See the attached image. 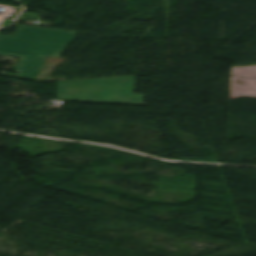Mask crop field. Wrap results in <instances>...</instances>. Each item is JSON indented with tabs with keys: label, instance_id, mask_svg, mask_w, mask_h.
Instances as JSON below:
<instances>
[{
	"label": "crop field",
	"instance_id": "crop-field-1",
	"mask_svg": "<svg viewBox=\"0 0 256 256\" xmlns=\"http://www.w3.org/2000/svg\"><path fill=\"white\" fill-rule=\"evenodd\" d=\"M76 32L19 26L14 36L0 34V54L21 57L15 72L35 78L46 56L58 57Z\"/></svg>",
	"mask_w": 256,
	"mask_h": 256
},
{
	"label": "crop field",
	"instance_id": "crop-field-2",
	"mask_svg": "<svg viewBox=\"0 0 256 256\" xmlns=\"http://www.w3.org/2000/svg\"><path fill=\"white\" fill-rule=\"evenodd\" d=\"M135 76L58 82L61 101L144 105V96L133 94Z\"/></svg>",
	"mask_w": 256,
	"mask_h": 256
}]
</instances>
